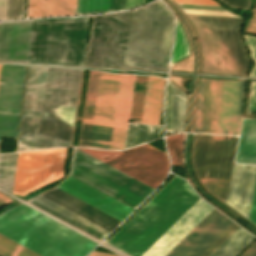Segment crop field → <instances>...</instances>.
<instances>
[{"label":"crop field","mask_w":256,"mask_h":256,"mask_svg":"<svg viewBox=\"0 0 256 256\" xmlns=\"http://www.w3.org/2000/svg\"><path fill=\"white\" fill-rule=\"evenodd\" d=\"M131 13L95 16L87 65L122 67Z\"/></svg>","instance_id":"11"},{"label":"crop field","mask_w":256,"mask_h":256,"mask_svg":"<svg viewBox=\"0 0 256 256\" xmlns=\"http://www.w3.org/2000/svg\"><path fill=\"white\" fill-rule=\"evenodd\" d=\"M188 54H189L188 41L185 37V34H184L178 20H177L176 37H175L172 63L188 56Z\"/></svg>","instance_id":"34"},{"label":"crop field","mask_w":256,"mask_h":256,"mask_svg":"<svg viewBox=\"0 0 256 256\" xmlns=\"http://www.w3.org/2000/svg\"><path fill=\"white\" fill-rule=\"evenodd\" d=\"M237 137L197 136L193 152L196 171L202 183L226 201Z\"/></svg>","instance_id":"9"},{"label":"crop field","mask_w":256,"mask_h":256,"mask_svg":"<svg viewBox=\"0 0 256 256\" xmlns=\"http://www.w3.org/2000/svg\"><path fill=\"white\" fill-rule=\"evenodd\" d=\"M172 35L171 13L159 1L134 10L123 67L166 69Z\"/></svg>","instance_id":"4"},{"label":"crop field","mask_w":256,"mask_h":256,"mask_svg":"<svg viewBox=\"0 0 256 256\" xmlns=\"http://www.w3.org/2000/svg\"><path fill=\"white\" fill-rule=\"evenodd\" d=\"M27 202L101 240L110 233L40 195Z\"/></svg>","instance_id":"23"},{"label":"crop field","mask_w":256,"mask_h":256,"mask_svg":"<svg viewBox=\"0 0 256 256\" xmlns=\"http://www.w3.org/2000/svg\"><path fill=\"white\" fill-rule=\"evenodd\" d=\"M135 75L121 74L110 149H123Z\"/></svg>","instance_id":"22"},{"label":"crop field","mask_w":256,"mask_h":256,"mask_svg":"<svg viewBox=\"0 0 256 256\" xmlns=\"http://www.w3.org/2000/svg\"><path fill=\"white\" fill-rule=\"evenodd\" d=\"M181 8H190V9H206V10H222L228 11L223 7H214V6H199V5H185L179 4ZM190 9H183L185 14H195V15H215V16H235L241 17L231 12H222V11H206V10H190Z\"/></svg>","instance_id":"35"},{"label":"crop field","mask_w":256,"mask_h":256,"mask_svg":"<svg viewBox=\"0 0 256 256\" xmlns=\"http://www.w3.org/2000/svg\"><path fill=\"white\" fill-rule=\"evenodd\" d=\"M181 139L182 134L166 137L167 148L172 165L182 166L180 157Z\"/></svg>","instance_id":"36"},{"label":"crop field","mask_w":256,"mask_h":256,"mask_svg":"<svg viewBox=\"0 0 256 256\" xmlns=\"http://www.w3.org/2000/svg\"><path fill=\"white\" fill-rule=\"evenodd\" d=\"M186 94L168 83L165 100L166 130L183 131Z\"/></svg>","instance_id":"24"},{"label":"crop field","mask_w":256,"mask_h":256,"mask_svg":"<svg viewBox=\"0 0 256 256\" xmlns=\"http://www.w3.org/2000/svg\"><path fill=\"white\" fill-rule=\"evenodd\" d=\"M238 227L213 209L166 256H209Z\"/></svg>","instance_id":"13"},{"label":"crop field","mask_w":256,"mask_h":256,"mask_svg":"<svg viewBox=\"0 0 256 256\" xmlns=\"http://www.w3.org/2000/svg\"><path fill=\"white\" fill-rule=\"evenodd\" d=\"M199 198L175 176L108 242L131 256H141Z\"/></svg>","instance_id":"1"},{"label":"crop field","mask_w":256,"mask_h":256,"mask_svg":"<svg viewBox=\"0 0 256 256\" xmlns=\"http://www.w3.org/2000/svg\"><path fill=\"white\" fill-rule=\"evenodd\" d=\"M240 256H256V241Z\"/></svg>","instance_id":"44"},{"label":"crop field","mask_w":256,"mask_h":256,"mask_svg":"<svg viewBox=\"0 0 256 256\" xmlns=\"http://www.w3.org/2000/svg\"><path fill=\"white\" fill-rule=\"evenodd\" d=\"M66 150L19 153L13 193L24 195L62 178Z\"/></svg>","instance_id":"12"},{"label":"crop field","mask_w":256,"mask_h":256,"mask_svg":"<svg viewBox=\"0 0 256 256\" xmlns=\"http://www.w3.org/2000/svg\"><path fill=\"white\" fill-rule=\"evenodd\" d=\"M119 77L101 72L89 147L109 149Z\"/></svg>","instance_id":"15"},{"label":"crop field","mask_w":256,"mask_h":256,"mask_svg":"<svg viewBox=\"0 0 256 256\" xmlns=\"http://www.w3.org/2000/svg\"><path fill=\"white\" fill-rule=\"evenodd\" d=\"M0 255L2 256H40L2 235H0Z\"/></svg>","instance_id":"33"},{"label":"crop field","mask_w":256,"mask_h":256,"mask_svg":"<svg viewBox=\"0 0 256 256\" xmlns=\"http://www.w3.org/2000/svg\"><path fill=\"white\" fill-rule=\"evenodd\" d=\"M17 156L18 153L0 155V187L10 192L13 190Z\"/></svg>","instance_id":"29"},{"label":"crop field","mask_w":256,"mask_h":256,"mask_svg":"<svg viewBox=\"0 0 256 256\" xmlns=\"http://www.w3.org/2000/svg\"><path fill=\"white\" fill-rule=\"evenodd\" d=\"M46 70L29 66L16 151L34 149Z\"/></svg>","instance_id":"14"},{"label":"crop field","mask_w":256,"mask_h":256,"mask_svg":"<svg viewBox=\"0 0 256 256\" xmlns=\"http://www.w3.org/2000/svg\"><path fill=\"white\" fill-rule=\"evenodd\" d=\"M25 0H8L6 20L23 18Z\"/></svg>","instance_id":"37"},{"label":"crop field","mask_w":256,"mask_h":256,"mask_svg":"<svg viewBox=\"0 0 256 256\" xmlns=\"http://www.w3.org/2000/svg\"><path fill=\"white\" fill-rule=\"evenodd\" d=\"M0 234L42 256H86L98 245L22 204L0 215Z\"/></svg>","instance_id":"2"},{"label":"crop field","mask_w":256,"mask_h":256,"mask_svg":"<svg viewBox=\"0 0 256 256\" xmlns=\"http://www.w3.org/2000/svg\"><path fill=\"white\" fill-rule=\"evenodd\" d=\"M7 0H0V20H5Z\"/></svg>","instance_id":"46"},{"label":"crop field","mask_w":256,"mask_h":256,"mask_svg":"<svg viewBox=\"0 0 256 256\" xmlns=\"http://www.w3.org/2000/svg\"><path fill=\"white\" fill-rule=\"evenodd\" d=\"M100 72L90 71L86 99L95 100ZM92 119L83 118L78 146L88 147Z\"/></svg>","instance_id":"31"},{"label":"crop field","mask_w":256,"mask_h":256,"mask_svg":"<svg viewBox=\"0 0 256 256\" xmlns=\"http://www.w3.org/2000/svg\"><path fill=\"white\" fill-rule=\"evenodd\" d=\"M236 162L256 163V120H243Z\"/></svg>","instance_id":"26"},{"label":"crop field","mask_w":256,"mask_h":256,"mask_svg":"<svg viewBox=\"0 0 256 256\" xmlns=\"http://www.w3.org/2000/svg\"><path fill=\"white\" fill-rule=\"evenodd\" d=\"M11 202L4 194L0 193V207Z\"/></svg>","instance_id":"47"},{"label":"crop field","mask_w":256,"mask_h":256,"mask_svg":"<svg viewBox=\"0 0 256 256\" xmlns=\"http://www.w3.org/2000/svg\"><path fill=\"white\" fill-rule=\"evenodd\" d=\"M70 175L133 208L154 190L76 148Z\"/></svg>","instance_id":"8"},{"label":"crop field","mask_w":256,"mask_h":256,"mask_svg":"<svg viewBox=\"0 0 256 256\" xmlns=\"http://www.w3.org/2000/svg\"><path fill=\"white\" fill-rule=\"evenodd\" d=\"M256 166L234 164L226 204L249 217Z\"/></svg>","instance_id":"20"},{"label":"crop field","mask_w":256,"mask_h":256,"mask_svg":"<svg viewBox=\"0 0 256 256\" xmlns=\"http://www.w3.org/2000/svg\"><path fill=\"white\" fill-rule=\"evenodd\" d=\"M124 5L125 0H111V7L110 0H105V6L104 0H78L77 14L103 11V6L104 12L99 13L109 12V7L110 12L119 11L124 10Z\"/></svg>","instance_id":"30"},{"label":"crop field","mask_w":256,"mask_h":256,"mask_svg":"<svg viewBox=\"0 0 256 256\" xmlns=\"http://www.w3.org/2000/svg\"><path fill=\"white\" fill-rule=\"evenodd\" d=\"M187 16L201 43L202 72L246 76L249 59L239 37L244 18Z\"/></svg>","instance_id":"5"},{"label":"crop field","mask_w":256,"mask_h":256,"mask_svg":"<svg viewBox=\"0 0 256 256\" xmlns=\"http://www.w3.org/2000/svg\"><path fill=\"white\" fill-rule=\"evenodd\" d=\"M80 73L48 67L35 149L69 146Z\"/></svg>","instance_id":"3"},{"label":"crop field","mask_w":256,"mask_h":256,"mask_svg":"<svg viewBox=\"0 0 256 256\" xmlns=\"http://www.w3.org/2000/svg\"><path fill=\"white\" fill-rule=\"evenodd\" d=\"M77 0H47L45 16L76 15Z\"/></svg>","instance_id":"32"},{"label":"crop field","mask_w":256,"mask_h":256,"mask_svg":"<svg viewBox=\"0 0 256 256\" xmlns=\"http://www.w3.org/2000/svg\"><path fill=\"white\" fill-rule=\"evenodd\" d=\"M177 3H185V4H200V5H214L219 6L212 0H175Z\"/></svg>","instance_id":"41"},{"label":"crop field","mask_w":256,"mask_h":256,"mask_svg":"<svg viewBox=\"0 0 256 256\" xmlns=\"http://www.w3.org/2000/svg\"><path fill=\"white\" fill-rule=\"evenodd\" d=\"M89 256H118V255L93 251Z\"/></svg>","instance_id":"48"},{"label":"crop field","mask_w":256,"mask_h":256,"mask_svg":"<svg viewBox=\"0 0 256 256\" xmlns=\"http://www.w3.org/2000/svg\"><path fill=\"white\" fill-rule=\"evenodd\" d=\"M88 17L33 20L29 62L84 66Z\"/></svg>","instance_id":"6"},{"label":"crop field","mask_w":256,"mask_h":256,"mask_svg":"<svg viewBox=\"0 0 256 256\" xmlns=\"http://www.w3.org/2000/svg\"><path fill=\"white\" fill-rule=\"evenodd\" d=\"M0 68H1V65H0Z\"/></svg>","instance_id":"49"},{"label":"crop field","mask_w":256,"mask_h":256,"mask_svg":"<svg viewBox=\"0 0 256 256\" xmlns=\"http://www.w3.org/2000/svg\"><path fill=\"white\" fill-rule=\"evenodd\" d=\"M211 207L200 198L142 256H165L213 209Z\"/></svg>","instance_id":"17"},{"label":"crop field","mask_w":256,"mask_h":256,"mask_svg":"<svg viewBox=\"0 0 256 256\" xmlns=\"http://www.w3.org/2000/svg\"><path fill=\"white\" fill-rule=\"evenodd\" d=\"M56 188L41 195L110 232L121 222Z\"/></svg>","instance_id":"21"},{"label":"crop field","mask_w":256,"mask_h":256,"mask_svg":"<svg viewBox=\"0 0 256 256\" xmlns=\"http://www.w3.org/2000/svg\"><path fill=\"white\" fill-rule=\"evenodd\" d=\"M143 4V0H126L125 10Z\"/></svg>","instance_id":"45"},{"label":"crop field","mask_w":256,"mask_h":256,"mask_svg":"<svg viewBox=\"0 0 256 256\" xmlns=\"http://www.w3.org/2000/svg\"><path fill=\"white\" fill-rule=\"evenodd\" d=\"M240 236L242 238H240ZM254 237L238 228L212 255L210 256H235Z\"/></svg>","instance_id":"28"},{"label":"crop field","mask_w":256,"mask_h":256,"mask_svg":"<svg viewBox=\"0 0 256 256\" xmlns=\"http://www.w3.org/2000/svg\"><path fill=\"white\" fill-rule=\"evenodd\" d=\"M222 80L200 79L195 131L216 134ZM245 80H223L217 134L237 135Z\"/></svg>","instance_id":"7"},{"label":"crop field","mask_w":256,"mask_h":256,"mask_svg":"<svg viewBox=\"0 0 256 256\" xmlns=\"http://www.w3.org/2000/svg\"><path fill=\"white\" fill-rule=\"evenodd\" d=\"M246 39L248 48L250 49V56L253 60V69L249 72V76L256 77V37L243 36Z\"/></svg>","instance_id":"39"},{"label":"crop field","mask_w":256,"mask_h":256,"mask_svg":"<svg viewBox=\"0 0 256 256\" xmlns=\"http://www.w3.org/2000/svg\"><path fill=\"white\" fill-rule=\"evenodd\" d=\"M46 0H29V17L44 16Z\"/></svg>","instance_id":"38"},{"label":"crop field","mask_w":256,"mask_h":256,"mask_svg":"<svg viewBox=\"0 0 256 256\" xmlns=\"http://www.w3.org/2000/svg\"><path fill=\"white\" fill-rule=\"evenodd\" d=\"M26 66L2 65L0 136L15 137Z\"/></svg>","instance_id":"16"},{"label":"crop field","mask_w":256,"mask_h":256,"mask_svg":"<svg viewBox=\"0 0 256 256\" xmlns=\"http://www.w3.org/2000/svg\"><path fill=\"white\" fill-rule=\"evenodd\" d=\"M78 149L154 189L165 178L169 167L167 155L147 144L118 152Z\"/></svg>","instance_id":"10"},{"label":"crop field","mask_w":256,"mask_h":256,"mask_svg":"<svg viewBox=\"0 0 256 256\" xmlns=\"http://www.w3.org/2000/svg\"><path fill=\"white\" fill-rule=\"evenodd\" d=\"M229 6L240 7V8H250L251 0H221Z\"/></svg>","instance_id":"40"},{"label":"crop field","mask_w":256,"mask_h":256,"mask_svg":"<svg viewBox=\"0 0 256 256\" xmlns=\"http://www.w3.org/2000/svg\"><path fill=\"white\" fill-rule=\"evenodd\" d=\"M249 220H251L253 223L256 224V184H255V190H254Z\"/></svg>","instance_id":"43"},{"label":"crop field","mask_w":256,"mask_h":256,"mask_svg":"<svg viewBox=\"0 0 256 256\" xmlns=\"http://www.w3.org/2000/svg\"><path fill=\"white\" fill-rule=\"evenodd\" d=\"M165 80L149 76L141 123L158 124Z\"/></svg>","instance_id":"25"},{"label":"crop field","mask_w":256,"mask_h":256,"mask_svg":"<svg viewBox=\"0 0 256 256\" xmlns=\"http://www.w3.org/2000/svg\"><path fill=\"white\" fill-rule=\"evenodd\" d=\"M57 188L121 221L134 210L70 176Z\"/></svg>","instance_id":"19"},{"label":"crop field","mask_w":256,"mask_h":256,"mask_svg":"<svg viewBox=\"0 0 256 256\" xmlns=\"http://www.w3.org/2000/svg\"><path fill=\"white\" fill-rule=\"evenodd\" d=\"M161 127L128 123L125 148L158 139Z\"/></svg>","instance_id":"27"},{"label":"crop field","mask_w":256,"mask_h":256,"mask_svg":"<svg viewBox=\"0 0 256 256\" xmlns=\"http://www.w3.org/2000/svg\"><path fill=\"white\" fill-rule=\"evenodd\" d=\"M32 20L0 23V60L28 62Z\"/></svg>","instance_id":"18"},{"label":"crop field","mask_w":256,"mask_h":256,"mask_svg":"<svg viewBox=\"0 0 256 256\" xmlns=\"http://www.w3.org/2000/svg\"><path fill=\"white\" fill-rule=\"evenodd\" d=\"M249 110H256V82H252Z\"/></svg>","instance_id":"42"}]
</instances>
